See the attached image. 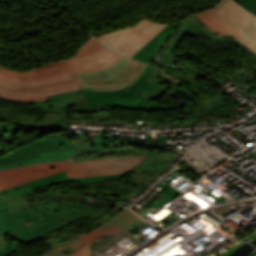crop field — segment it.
Returning <instances> with one entry per match:
<instances>
[{"instance_id":"crop-field-1","label":"crop field","mask_w":256,"mask_h":256,"mask_svg":"<svg viewBox=\"0 0 256 256\" xmlns=\"http://www.w3.org/2000/svg\"><path fill=\"white\" fill-rule=\"evenodd\" d=\"M120 57L90 38L76 57L34 68L41 79L39 81L15 80L0 70V97L10 101L33 102L47 100L49 95L77 90L80 86L75 73L106 68Z\"/></svg>"},{"instance_id":"crop-field-2","label":"crop field","mask_w":256,"mask_h":256,"mask_svg":"<svg viewBox=\"0 0 256 256\" xmlns=\"http://www.w3.org/2000/svg\"><path fill=\"white\" fill-rule=\"evenodd\" d=\"M146 157L130 156L122 158H109L88 160L70 163V161L31 165L0 171V191L46 177L66 170L67 177H85L96 175L127 173L132 167Z\"/></svg>"},{"instance_id":"crop-field-3","label":"crop field","mask_w":256,"mask_h":256,"mask_svg":"<svg viewBox=\"0 0 256 256\" xmlns=\"http://www.w3.org/2000/svg\"><path fill=\"white\" fill-rule=\"evenodd\" d=\"M24 197V196H23ZM98 196H43L38 199L24 197L40 214L50 220L58 229L88 216L91 220L107 213L115 199Z\"/></svg>"},{"instance_id":"crop-field-4","label":"crop field","mask_w":256,"mask_h":256,"mask_svg":"<svg viewBox=\"0 0 256 256\" xmlns=\"http://www.w3.org/2000/svg\"><path fill=\"white\" fill-rule=\"evenodd\" d=\"M210 28L235 38L256 53V16L234 0L196 14Z\"/></svg>"},{"instance_id":"crop-field-5","label":"crop field","mask_w":256,"mask_h":256,"mask_svg":"<svg viewBox=\"0 0 256 256\" xmlns=\"http://www.w3.org/2000/svg\"><path fill=\"white\" fill-rule=\"evenodd\" d=\"M146 64L122 56L106 69L76 74L83 88L112 90L123 88L135 81Z\"/></svg>"},{"instance_id":"crop-field-6","label":"crop field","mask_w":256,"mask_h":256,"mask_svg":"<svg viewBox=\"0 0 256 256\" xmlns=\"http://www.w3.org/2000/svg\"><path fill=\"white\" fill-rule=\"evenodd\" d=\"M167 25L144 19L132 27L118 29L95 38L115 52L131 57Z\"/></svg>"},{"instance_id":"crop-field-7","label":"crop field","mask_w":256,"mask_h":256,"mask_svg":"<svg viewBox=\"0 0 256 256\" xmlns=\"http://www.w3.org/2000/svg\"><path fill=\"white\" fill-rule=\"evenodd\" d=\"M81 91H73L47 97V101L34 102L36 108H42L43 113L50 112L43 117L37 127L50 130L67 128L66 110L68 105L75 104L80 99Z\"/></svg>"},{"instance_id":"crop-field-8","label":"crop field","mask_w":256,"mask_h":256,"mask_svg":"<svg viewBox=\"0 0 256 256\" xmlns=\"http://www.w3.org/2000/svg\"><path fill=\"white\" fill-rule=\"evenodd\" d=\"M214 31L209 29L208 27L203 26L198 22V20L195 18L194 15L189 17L188 19L184 20L182 26L170 37V39L167 41L165 47L160 53V63L159 65L165 66V67H170V64H173L176 62L173 52L177 45L180 43V41L183 39L186 33L192 34L195 36H198L203 33L210 37L212 41H224V40H229L232 41L233 43L241 46L245 51L250 53L252 57L256 59V54L250 51L249 49L245 48L241 44H239L235 39L230 38L226 36L224 39L220 37H216L215 34H213ZM175 66V65H174Z\"/></svg>"},{"instance_id":"crop-field-9","label":"crop field","mask_w":256,"mask_h":256,"mask_svg":"<svg viewBox=\"0 0 256 256\" xmlns=\"http://www.w3.org/2000/svg\"><path fill=\"white\" fill-rule=\"evenodd\" d=\"M84 99L89 101L90 107H99L100 111L107 110L112 106H119L122 108L136 109V110H155V109H172L171 105H159L154 102L148 101L138 93L133 94L126 98H90Z\"/></svg>"},{"instance_id":"crop-field-10","label":"crop field","mask_w":256,"mask_h":256,"mask_svg":"<svg viewBox=\"0 0 256 256\" xmlns=\"http://www.w3.org/2000/svg\"><path fill=\"white\" fill-rule=\"evenodd\" d=\"M58 146H75V147L81 148L83 150H87L89 152L104 151V149L93 148V147H89V146H85V145L75 144L71 140H68V139H60V138L51 139V140H47L43 143L40 140H38V141L32 142L29 145L19 148L10 154L0 157V164L10 162V161L19 160V159H24V158H28V157L37 156L38 155L37 151L46 150V149H50L52 147H58Z\"/></svg>"},{"instance_id":"crop-field-11","label":"crop field","mask_w":256,"mask_h":256,"mask_svg":"<svg viewBox=\"0 0 256 256\" xmlns=\"http://www.w3.org/2000/svg\"><path fill=\"white\" fill-rule=\"evenodd\" d=\"M56 230L57 228L51 222L42 217L6 234L27 245Z\"/></svg>"},{"instance_id":"crop-field-12","label":"crop field","mask_w":256,"mask_h":256,"mask_svg":"<svg viewBox=\"0 0 256 256\" xmlns=\"http://www.w3.org/2000/svg\"><path fill=\"white\" fill-rule=\"evenodd\" d=\"M85 152L86 151L77 149L75 147H58V148H53L46 151H40L39 152L40 156H37V157L10 162L6 164H1L0 169L12 167V166H22V165L32 164V163L67 159L79 153H85Z\"/></svg>"},{"instance_id":"crop-field-13","label":"crop field","mask_w":256,"mask_h":256,"mask_svg":"<svg viewBox=\"0 0 256 256\" xmlns=\"http://www.w3.org/2000/svg\"><path fill=\"white\" fill-rule=\"evenodd\" d=\"M182 21L169 24L158 35H156L150 42H148L143 48H141L132 58L144 61L146 63L157 58V55L165 43L170 37L173 31L180 25Z\"/></svg>"},{"instance_id":"crop-field-14","label":"crop field","mask_w":256,"mask_h":256,"mask_svg":"<svg viewBox=\"0 0 256 256\" xmlns=\"http://www.w3.org/2000/svg\"><path fill=\"white\" fill-rule=\"evenodd\" d=\"M104 130L101 129L100 137L95 138V147L104 148L105 150L129 143L166 144V136L161 137V133H159V138H128L104 136Z\"/></svg>"},{"instance_id":"crop-field-15","label":"crop field","mask_w":256,"mask_h":256,"mask_svg":"<svg viewBox=\"0 0 256 256\" xmlns=\"http://www.w3.org/2000/svg\"><path fill=\"white\" fill-rule=\"evenodd\" d=\"M145 223L147 222L132 214L129 209H126L119 213L112 221L100 226V228L104 231L107 228L115 225L140 246L143 243L136 239L130 232L142 226Z\"/></svg>"},{"instance_id":"crop-field-16","label":"crop field","mask_w":256,"mask_h":256,"mask_svg":"<svg viewBox=\"0 0 256 256\" xmlns=\"http://www.w3.org/2000/svg\"><path fill=\"white\" fill-rule=\"evenodd\" d=\"M152 65H148L139 79L132 85L120 91H112V92H97V91H88L84 90V95L91 97H125L130 94L138 92L143 85L145 84L150 71L152 69Z\"/></svg>"},{"instance_id":"crop-field-17","label":"crop field","mask_w":256,"mask_h":256,"mask_svg":"<svg viewBox=\"0 0 256 256\" xmlns=\"http://www.w3.org/2000/svg\"><path fill=\"white\" fill-rule=\"evenodd\" d=\"M159 69L160 67L154 66L146 84L138 92L150 101H153L154 99L158 98L166 91V89L163 88L157 80Z\"/></svg>"},{"instance_id":"crop-field-18","label":"crop field","mask_w":256,"mask_h":256,"mask_svg":"<svg viewBox=\"0 0 256 256\" xmlns=\"http://www.w3.org/2000/svg\"><path fill=\"white\" fill-rule=\"evenodd\" d=\"M119 231V229L115 226L109 228L107 231L103 232L99 227L88 232L87 234L79 237L86 244L82 247L75 250L73 253L69 254V256H89V244L92 243L97 238L103 235H110Z\"/></svg>"},{"instance_id":"crop-field-19","label":"crop field","mask_w":256,"mask_h":256,"mask_svg":"<svg viewBox=\"0 0 256 256\" xmlns=\"http://www.w3.org/2000/svg\"><path fill=\"white\" fill-rule=\"evenodd\" d=\"M27 224L23 219L12 211L6 209L0 211V232L5 233L17 227Z\"/></svg>"},{"instance_id":"crop-field-20","label":"crop field","mask_w":256,"mask_h":256,"mask_svg":"<svg viewBox=\"0 0 256 256\" xmlns=\"http://www.w3.org/2000/svg\"><path fill=\"white\" fill-rule=\"evenodd\" d=\"M129 155H142V156H149L152 154L149 153H141V152H130L129 147H124L121 149L100 153V154H86L83 156L76 157L71 159L72 162L87 160V159H100V158H109V157H121V156H129Z\"/></svg>"},{"instance_id":"crop-field-21","label":"crop field","mask_w":256,"mask_h":256,"mask_svg":"<svg viewBox=\"0 0 256 256\" xmlns=\"http://www.w3.org/2000/svg\"><path fill=\"white\" fill-rule=\"evenodd\" d=\"M64 182H67L65 171L56 175H52L26 184H22V187H26L27 189H36Z\"/></svg>"},{"instance_id":"crop-field-22","label":"crop field","mask_w":256,"mask_h":256,"mask_svg":"<svg viewBox=\"0 0 256 256\" xmlns=\"http://www.w3.org/2000/svg\"><path fill=\"white\" fill-rule=\"evenodd\" d=\"M83 244H85L84 242H82L79 238L68 242L60 247H57L41 256H67L65 253L68 251H74L75 249H77L78 247L82 246Z\"/></svg>"},{"instance_id":"crop-field-23","label":"crop field","mask_w":256,"mask_h":256,"mask_svg":"<svg viewBox=\"0 0 256 256\" xmlns=\"http://www.w3.org/2000/svg\"><path fill=\"white\" fill-rule=\"evenodd\" d=\"M3 202L6 204L7 208L16 212L28 207H31L22 196L19 197H11V198H1ZM13 212V213H14Z\"/></svg>"},{"instance_id":"crop-field-24","label":"crop field","mask_w":256,"mask_h":256,"mask_svg":"<svg viewBox=\"0 0 256 256\" xmlns=\"http://www.w3.org/2000/svg\"><path fill=\"white\" fill-rule=\"evenodd\" d=\"M0 68L2 69V71L4 73H6L7 75H9L12 78L27 79V80H38L39 79L38 76L33 71V69L26 71V72H17V71L5 69L1 66H0Z\"/></svg>"},{"instance_id":"crop-field-25","label":"crop field","mask_w":256,"mask_h":256,"mask_svg":"<svg viewBox=\"0 0 256 256\" xmlns=\"http://www.w3.org/2000/svg\"><path fill=\"white\" fill-rule=\"evenodd\" d=\"M127 174L120 175H108V176H96V177H86V178H67L68 182L81 181V183L119 179L125 177Z\"/></svg>"},{"instance_id":"crop-field-26","label":"crop field","mask_w":256,"mask_h":256,"mask_svg":"<svg viewBox=\"0 0 256 256\" xmlns=\"http://www.w3.org/2000/svg\"><path fill=\"white\" fill-rule=\"evenodd\" d=\"M17 250L7 242L5 235L0 234V256H8Z\"/></svg>"},{"instance_id":"crop-field-27","label":"crop field","mask_w":256,"mask_h":256,"mask_svg":"<svg viewBox=\"0 0 256 256\" xmlns=\"http://www.w3.org/2000/svg\"><path fill=\"white\" fill-rule=\"evenodd\" d=\"M16 214H18L20 217H22L25 221H27L28 223L42 217V215H40L35 209H33L32 207L29 209H25L19 212H16Z\"/></svg>"},{"instance_id":"crop-field-28","label":"crop field","mask_w":256,"mask_h":256,"mask_svg":"<svg viewBox=\"0 0 256 256\" xmlns=\"http://www.w3.org/2000/svg\"><path fill=\"white\" fill-rule=\"evenodd\" d=\"M87 105H88V102L83 100V90H82L81 99L74 105L76 107L74 111L77 113L99 111L98 108H90V107H87Z\"/></svg>"},{"instance_id":"crop-field-29","label":"crop field","mask_w":256,"mask_h":256,"mask_svg":"<svg viewBox=\"0 0 256 256\" xmlns=\"http://www.w3.org/2000/svg\"><path fill=\"white\" fill-rule=\"evenodd\" d=\"M20 129H23V130H27V131H31L32 129H26V128H17V127H14L12 125H9V124H4V123H0V130L1 131H5L11 135H16L17 132L20 130Z\"/></svg>"},{"instance_id":"crop-field-30","label":"crop field","mask_w":256,"mask_h":256,"mask_svg":"<svg viewBox=\"0 0 256 256\" xmlns=\"http://www.w3.org/2000/svg\"><path fill=\"white\" fill-rule=\"evenodd\" d=\"M28 194H35V192L34 190H27L25 188H21V189L11 191L9 193H4L0 195V197H11V196L28 195Z\"/></svg>"},{"instance_id":"crop-field-31","label":"crop field","mask_w":256,"mask_h":256,"mask_svg":"<svg viewBox=\"0 0 256 256\" xmlns=\"http://www.w3.org/2000/svg\"><path fill=\"white\" fill-rule=\"evenodd\" d=\"M160 191L163 192L164 194H166L171 199L174 198L175 196H177L179 193H181L169 185L164 187Z\"/></svg>"},{"instance_id":"crop-field-32","label":"crop field","mask_w":256,"mask_h":256,"mask_svg":"<svg viewBox=\"0 0 256 256\" xmlns=\"http://www.w3.org/2000/svg\"><path fill=\"white\" fill-rule=\"evenodd\" d=\"M244 6H246L248 9L256 13V0H237Z\"/></svg>"},{"instance_id":"crop-field-33","label":"crop field","mask_w":256,"mask_h":256,"mask_svg":"<svg viewBox=\"0 0 256 256\" xmlns=\"http://www.w3.org/2000/svg\"><path fill=\"white\" fill-rule=\"evenodd\" d=\"M254 72H256V66L254 67V70L251 71H245L239 75H237L236 77H234L233 79L238 82V81H242L243 79H245L246 77L250 76L251 74H253Z\"/></svg>"},{"instance_id":"crop-field-34","label":"crop field","mask_w":256,"mask_h":256,"mask_svg":"<svg viewBox=\"0 0 256 256\" xmlns=\"http://www.w3.org/2000/svg\"><path fill=\"white\" fill-rule=\"evenodd\" d=\"M0 137H4L8 142L5 144L6 146L9 145L10 143L14 142L15 140L19 139L18 137H13V136H10L4 132H1L0 131Z\"/></svg>"},{"instance_id":"crop-field-35","label":"crop field","mask_w":256,"mask_h":256,"mask_svg":"<svg viewBox=\"0 0 256 256\" xmlns=\"http://www.w3.org/2000/svg\"><path fill=\"white\" fill-rule=\"evenodd\" d=\"M21 187V185H19V186H16V187H13V188H10V189H7V190H4V191H1L0 192V194H2V193H4V192H9V191H11V190H13V189H16V188H20ZM6 208V206L4 205V203L1 201V199H0V210L1 209H5Z\"/></svg>"},{"instance_id":"crop-field-36","label":"crop field","mask_w":256,"mask_h":256,"mask_svg":"<svg viewBox=\"0 0 256 256\" xmlns=\"http://www.w3.org/2000/svg\"><path fill=\"white\" fill-rule=\"evenodd\" d=\"M256 74L251 75L250 77H248L247 79H245L244 81L247 82L248 84L253 85L254 84V80H255Z\"/></svg>"},{"instance_id":"crop-field-37","label":"crop field","mask_w":256,"mask_h":256,"mask_svg":"<svg viewBox=\"0 0 256 256\" xmlns=\"http://www.w3.org/2000/svg\"><path fill=\"white\" fill-rule=\"evenodd\" d=\"M128 176H130V177H132V178H134V179H136V180H138V181H140V180H142V179H145V178H142V177H140V176H138V175H136V174H134V173H132V172H130L129 171V173H128ZM146 180V179H145Z\"/></svg>"}]
</instances>
